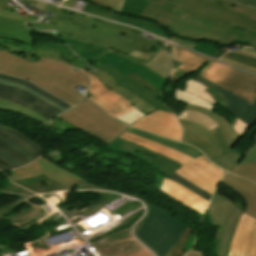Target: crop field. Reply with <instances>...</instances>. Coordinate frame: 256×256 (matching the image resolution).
<instances>
[{"instance_id": "obj_1", "label": "crop field", "mask_w": 256, "mask_h": 256, "mask_svg": "<svg viewBox=\"0 0 256 256\" xmlns=\"http://www.w3.org/2000/svg\"><path fill=\"white\" fill-rule=\"evenodd\" d=\"M170 1L179 5L160 24L179 37L229 45L252 44L256 36V21L229 7L207 0Z\"/></svg>"}, {"instance_id": "obj_2", "label": "crop field", "mask_w": 256, "mask_h": 256, "mask_svg": "<svg viewBox=\"0 0 256 256\" xmlns=\"http://www.w3.org/2000/svg\"><path fill=\"white\" fill-rule=\"evenodd\" d=\"M45 10L55 12L51 20L59 22L58 25L38 22L34 23L32 28L57 30L56 33L46 32L50 35L70 37L111 48L124 32L133 30L127 26L103 21L49 3Z\"/></svg>"}, {"instance_id": "obj_3", "label": "crop field", "mask_w": 256, "mask_h": 256, "mask_svg": "<svg viewBox=\"0 0 256 256\" xmlns=\"http://www.w3.org/2000/svg\"><path fill=\"white\" fill-rule=\"evenodd\" d=\"M137 197V196H134ZM146 217L135 227L137 238L145 243L157 256H175L187 241L192 229L173 219V213L152 206Z\"/></svg>"}, {"instance_id": "obj_4", "label": "crop field", "mask_w": 256, "mask_h": 256, "mask_svg": "<svg viewBox=\"0 0 256 256\" xmlns=\"http://www.w3.org/2000/svg\"><path fill=\"white\" fill-rule=\"evenodd\" d=\"M120 138L182 163L174 172L210 194H213L217 182L226 174L221 168L211 164L204 155L194 160L172 148L128 132L123 133Z\"/></svg>"}, {"instance_id": "obj_5", "label": "crop field", "mask_w": 256, "mask_h": 256, "mask_svg": "<svg viewBox=\"0 0 256 256\" xmlns=\"http://www.w3.org/2000/svg\"><path fill=\"white\" fill-rule=\"evenodd\" d=\"M34 64L0 51L1 73L28 79L73 105L83 101L84 97L73 89L79 84L50 71L38 68Z\"/></svg>"}, {"instance_id": "obj_6", "label": "crop field", "mask_w": 256, "mask_h": 256, "mask_svg": "<svg viewBox=\"0 0 256 256\" xmlns=\"http://www.w3.org/2000/svg\"><path fill=\"white\" fill-rule=\"evenodd\" d=\"M0 98L29 107L49 118L72 107L36 85L0 73Z\"/></svg>"}, {"instance_id": "obj_7", "label": "crop field", "mask_w": 256, "mask_h": 256, "mask_svg": "<svg viewBox=\"0 0 256 256\" xmlns=\"http://www.w3.org/2000/svg\"><path fill=\"white\" fill-rule=\"evenodd\" d=\"M59 117L106 144L128 128L87 100Z\"/></svg>"}, {"instance_id": "obj_8", "label": "crop field", "mask_w": 256, "mask_h": 256, "mask_svg": "<svg viewBox=\"0 0 256 256\" xmlns=\"http://www.w3.org/2000/svg\"><path fill=\"white\" fill-rule=\"evenodd\" d=\"M115 49L112 53L107 52L100 61L112 66L123 75H130L159 97H162V91L166 79L146 68L142 62H147L151 57L135 50L129 49L115 43L112 47Z\"/></svg>"}, {"instance_id": "obj_9", "label": "crop field", "mask_w": 256, "mask_h": 256, "mask_svg": "<svg viewBox=\"0 0 256 256\" xmlns=\"http://www.w3.org/2000/svg\"><path fill=\"white\" fill-rule=\"evenodd\" d=\"M42 179H45L65 190H70L76 183L86 189L103 190L82 181L78 177L41 158L27 166L13 170L11 177L13 182L21 186L32 184Z\"/></svg>"}, {"instance_id": "obj_10", "label": "crop field", "mask_w": 256, "mask_h": 256, "mask_svg": "<svg viewBox=\"0 0 256 256\" xmlns=\"http://www.w3.org/2000/svg\"><path fill=\"white\" fill-rule=\"evenodd\" d=\"M200 76L252 102L256 97V76L213 59L202 70Z\"/></svg>"}, {"instance_id": "obj_11", "label": "crop field", "mask_w": 256, "mask_h": 256, "mask_svg": "<svg viewBox=\"0 0 256 256\" xmlns=\"http://www.w3.org/2000/svg\"><path fill=\"white\" fill-rule=\"evenodd\" d=\"M208 210L212 225L220 228L216 242V255L228 256L231 239L242 211L236 209L229 198L217 194H214Z\"/></svg>"}, {"instance_id": "obj_12", "label": "crop field", "mask_w": 256, "mask_h": 256, "mask_svg": "<svg viewBox=\"0 0 256 256\" xmlns=\"http://www.w3.org/2000/svg\"><path fill=\"white\" fill-rule=\"evenodd\" d=\"M178 121L184 129L182 142L195 146L201 150L210 161L228 172L233 169V167L220 161V156L223 154V151L214 136L207 129L192 122L179 119Z\"/></svg>"}, {"instance_id": "obj_13", "label": "crop field", "mask_w": 256, "mask_h": 256, "mask_svg": "<svg viewBox=\"0 0 256 256\" xmlns=\"http://www.w3.org/2000/svg\"><path fill=\"white\" fill-rule=\"evenodd\" d=\"M107 148L110 150L130 154L150 164L151 166L155 167L157 170L166 174L167 176L173 173V171L178 169V167L181 165L177 162L169 160L163 156H160L154 152H150L142 147H139L135 144H131L120 138L115 140L112 144H108Z\"/></svg>"}, {"instance_id": "obj_14", "label": "crop field", "mask_w": 256, "mask_h": 256, "mask_svg": "<svg viewBox=\"0 0 256 256\" xmlns=\"http://www.w3.org/2000/svg\"><path fill=\"white\" fill-rule=\"evenodd\" d=\"M229 256H256V219L241 215L229 250Z\"/></svg>"}, {"instance_id": "obj_15", "label": "crop field", "mask_w": 256, "mask_h": 256, "mask_svg": "<svg viewBox=\"0 0 256 256\" xmlns=\"http://www.w3.org/2000/svg\"><path fill=\"white\" fill-rule=\"evenodd\" d=\"M131 126L152 133L180 140L182 129L179 127L174 115L157 110L133 123Z\"/></svg>"}, {"instance_id": "obj_16", "label": "crop field", "mask_w": 256, "mask_h": 256, "mask_svg": "<svg viewBox=\"0 0 256 256\" xmlns=\"http://www.w3.org/2000/svg\"><path fill=\"white\" fill-rule=\"evenodd\" d=\"M202 84H206L211 89L218 92L228 103L222 107L227 109L237 118L244 121L249 126H252L256 123V99L253 103L240 98L202 78L199 76L192 78Z\"/></svg>"}, {"instance_id": "obj_17", "label": "crop field", "mask_w": 256, "mask_h": 256, "mask_svg": "<svg viewBox=\"0 0 256 256\" xmlns=\"http://www.w3.org/2000/svg\"><path fill=\"white\" fill-rule=\"evenodd\" d=\"M78 71L86 74L91 80V84L88 91L93 96L88 99L96 103L98 106H100L110 116L132 106L129 102L120 97L118 94L109 90L94 76L80 69H78Z\"/></svg>"}, {"instance_id": "obj_18", "label": "crop field", "mask_w": 256, "mask_h": 256, "mask_svg": "<svg viewBox=\"0 0 256 256\" xmlns=\"http://www.w3.org/2000/svg\"><path fill=\"white\" fill-rule=\"evenodd\" d=\"M95 67H98V68L106 71L109 75L112 76V78H114L118 81L119 85H121L124 88H126L127 90L137 94L151 106L171 113V111L164 106L163 99L159 98L157 95H155L153 92H151L149 89H147L145 86H143L142 84H140L133 78L129 77L128 75L126 77L123 76L118 71L107 66L106 64H104L102 62L95 65Z\"/></svg>"}, {"instance_id": "obj_19", "label": "crop field", "mask_w": 256, "mask_h": 256, "mask_svg": "<svg viewBox=\"0 0 256 256\" xmlns=\"http://www.w3.org/2000/svg\"><path fill=\"white\" fill-rule=\"evenodd\" d=\"M158 189L175 201L196 211L199 215L203 214L209 203L183 186L164 177Z\"/></svg>"}, {"instance_id": "obj_20", "label": "crop field", "mask_w": 256, "mask_h": 256, "mask_svg": "<svg viewBox=\"0 0 256 256\" xmlns=\"http://www.w3.org/2000/svg\"><path fill=\"white\" fill-rule=\"evenodd\" d=\"M0 138L34 160L44 152L42 144L14 128L0 125Z\"/></svg>"}, {"instance_id": "obj_21", "label": "crop field", "mask_w": 256, "mask_h": 256, "mask_svg": "<svg viewBox=\"0 0 256 256\" xmlns=\"http://www.w3.org/2000/svg\"><path fill=\"white\" fill-rule=\"evenodd\" d=\"M209 89L205 85H201L191 79L185 82L184 90L176 89L175 96L179 102L198 105L211 111L215 109L218 103L209 96L205 90Z\"/></svg>"}, {"instance_id": "obj_22", "label": "crop field", "mask_w": 256, "mask_h": 256, "mask_svg": "<svg viewBox=\"0 0 256 256\" xmlns=\"http://www.w3.org/2000/svg\"><path fill=\"white\" fill-rule=\"evenodd\" d=\"M29 23L0 18V38H5L33 46L34 33L43 34L40 31L26 27Z\"/></svg>"}, {"instance_id": "obj_23", "label": "crop field", "mask_w": 256, "mask_h": 256, "mask_svg": "<svg viewBox=\"0 0 256 256\" xmlns=\"http://www.w3.org/2000/svg\"><path fill=\"white\" fill-rule=\"evenodd\" d=\"M220 182L243 196L247 202V209L244 213L256 218V184L230 173H228Z\"/></svg>"}, {"instance_id": "obj_24", "label": "crop field", "mask_w": 256, "mask_h": 256, "mask_svg": "<svg viewBox=\"0 0 256 256\" xmlns=\"http://www.w3.org/2000/svg\"><path fill=\"white\" fill-rule=\"evenodd\" d=\"M36 66H39L41 68H44L52 72H55L57 74H60L62 76H65L81 84V86L85 88H87L89 84V80L86 78V76L77 72L76 70L77 67L72 66L63 61L52 59V58L39 57L36 62Z\"/></svg>"}, {"instance_id": "obj_25", "label": "crop field", "mask_w": 256, "mask_h": 256, "mask_svg": "<svg viewBox=\"0 0 256 256\" xmlns=\"http://www.w3.org/2000/svg\"><path fill=\"white\" fill-rule=\"evenodd\" d=\"M97 69V68H96ZM97 73L89 72L96 76L104 85H106L109 89L115 91L123 98L128 100L134 107L140 110L145 115L156 110L155 108L151 107L150 105L146 104L140 97L132 94L131 92L127 91L123 87L119 86L116 80L112 79L106 72L97 69Z\"/></svg>"}, {"instance_id": "obj_26", "label": "crop field", "mask_w": 256, "mask_h": 256, "mask_svg": "<svg viewBox=\"0 0 256 256\" xmlns=\"http://www.w3.org/2000/svg\"><path fill=\"white\" fill-rule=\"evenodd\" d=\"M172 46L174 48L173 59L183 64L178 68L182 69L188 74L198 71L209 60L207 57L193 53L178 45L172 44Z\"/></svg>"}, {"instance_id": "obj_27", "label": "crop field", "mask_w": 256, "mask_h": 256, "mask_svg": "<svg viewBox=\"0 0 256 256\" xmlns=\"http://www.w3.org/2000/svg\"><path fill=\"white\" fill-rule=\"evenodd\" d=\"M99 6H103L129 16L138 17L144 7L149 3L147 0H88ZM112 5L113 7H111Z\"/></svg>"}, {"instance_id": "obj_28", "label": "crop field", "mask_w": 256, "mask_h": 256, "mask_svg": "<svg viewBox=\"0 0 256 256\" xmlns=\"http://www.w3.org/2000/svg\"><path fill=\"white\" fill-rule=\"evenodd\" d=\"M177 118L192 121L206 127L215 136L224 152H227L231 149L226 143L219 126L209 117L204 116L198 112L186 110L183 111L181 116H177Z\"/></svg>"}, {"instance_id": "obj_29", "label": "crop field", "mask_w": 256, "mask_h": 256, "mask_svg": "<svg viewBox=\"0 0 256 256\" xmlns=\"http://www.w3.org/2000/svg\"><path fill=\"white\" fill-rule=\"evenodd\" d=\"M32 161L34 160L0 139V169H8L13 166L20 167Z\"/></svg>"}, {"instance_id": "obj_30", "label": "crop field", "mask_w": 256, "mask_h": 256, "mask_svg": "<svg viewBox=\"0 0 256 256\" xmlns=\"http://www.w3.org/2000/svg\"><path fill=\"white\" fill-rule=\"evenodd\" d=\"M56 38L63 40L67 45L71 47V49L76 53V55L83 58L88 63L97 60L99 57H101L108 51V48L93 45L90 43L69 40L62 37Z\"/></svg>"}, {"instance_id": "obj_31", "label": "crop field", "mask_w": 256, "mask_h": 256, "mask_svg": "<svg viewBox=\"0 0 256 256\" xmlns=\"http://www.w3.org/2000/svg\"><path fill=\"white\" fill-rule=\"evenodd\" d=\"M117 43L130 47L142 53L154 56L162 46H159L133 32L124 33Z\"/></svg>"}, {"instance_id": "obj_32", "label": "crop field", "mask_w": 256, "mask_h": 256, "mask_svg": "<svg viewBox=\"0 0 256 256\" xmlns=\"http://www.w3.org/2000/svg\"><path fill=\"white\" fill-rule=\"evenodd\" d=\"M187 109L198 111L212 118L220 126L223 135L230 147H233L242 138L234 132L231 125L228 123V120L223 116L197 106L187 105Z\"/></svg>"}, {"instance_id": "obj_33", "label": "crop field", "mask_w": 256, "mask_h": 256, "mask_svg": "<svg viewBox=\"0 0 256 256\" xmlns=\"http://www.w3.org/2000/svg\"><path fill=\"white\" fill-rule=\"evenodd\" d=\"M133 134H137V135H140L144 138H147V139H150V140H153V141H156L158 143H161L163 145H166V146H169V147H172L182 153H185L193 158H197L201 155H203V153H201L200 151L196 150L195 148H193L192 146L188 145V144H184V143H176L174 141H171V140H168V139H164V138H161V137H158V136H155V135H152V134H149L147 132H144L142 130H139V129H136V128H133L131 127L129 130H127Z\"/></svg>"}, {"instance_id": "obj_34", "label": "crop field", "mask_w": 256, "mask_h": 256, "mask_svg": "<svg viewBox=\"0 0 256 256\" xmlns=\"http://www.w3.org/2000/svg\"><path fill=\"white\" fill-rule=\"evenodd\" d=\"M176 6L169 0H161L158 4L150 2L139 17L160 23Z\"/></svg>"}, {"instance_id": "obj_35", "label": "crop field", "mask_w": 256, "mask_h": 256, "mask_svg": "<svg viewBox=\"0 0 256 256\" xmlns=\"http://www.w3.org/2000/svg\"><path fill=\"white\" fill-rule=\"evenodd\" d=\"M242 150L243 149H232L228 153L221 156V161L233 167L237 165V163L245 165V164L256 162V142L255 141L253 146L250 147L249 151L245 155H243Z\"/></svg>"}, {"instance_id": "obj_36", "label": "crop field", "mask_w": 256, "mask_h": 256, "mask_svg": "<svg viewBox=\"0 0 256 256\" xmlns=\"http://www.w3.org/2000/svg\"><path fill=\"white\" fill-rule=\"evenodd\" d=\"M171 59V53L160 50L153 58H151L144 65L153 70L154 72L158 73L162 77L167 78L169 71L171 69Z\"/></svg>"}, {"instance_id": "obj_37", "label": "crop field", "mask_w": 256, "mask_h": 256, "mask_svg": "<svg viewBox=\"0 0 256 256\" xmlns=\"http://www.w3.org/2000/svg\"><path fill=\"white\" fill-rule=\"evenodd\" d=\"M110 20H114V21H118V22L133 25L135 27L141 28V29L146 30L148 32H151L153 34L164 37L166 39L170 38L168 33L165 32L163 29H161L160 27H158V26H156V25H154L150 22H147V21L124 17V16H122L120 14H117V13H114L112 15V17L110 18Z\"/></svg>"}, {"instance_id": "obj_38", "label": "crop field", "mask_w": 256, "mask_h": 256, "mask_svg": "<svg viewBox=\"0 0 256 256\" xmlns=\"http://www.w3.org/2000/svg\"><path fill=\"white\" fill-rule=\"evenodd\" d=\"M0 110H7V111H17L23 115H26L32 119H35L39 122H42L50 127V120L41 116L40 114L32 111L31 109H25L13 102L0 99ZM47 126V127H48Z\"/></svg>"}, {"instance_id": "obj_39", "label": "crop field", "mask_w": 256, "mask_h": 256, "mask_svg": "<svg viewBox=\"0 0 256 256\" xmlns=\"http://www.w3.org/2000/svg\"><path fill=\"white\" fill-rule=\"evenodd\" d=\"M36 56H44V57H52L56 59L63 60L65 62H68L72 65H75L80 68H86L88 65L81 59H77L74 57H70L64 53H59L57 51H34Z\"/></svg>"}, {"instance_id": "obj_40", "label": "crop field", "mask_w": 256, "mask_h": 256, "mask_svg": "<svg viewBox=\"0 0 256 256\" xmlns=\"http://www.w3.org/2000/svg\"><path fill=\"white\" fill-rule=\"evenodd\" d=\"M168 178L178 182L179 184L183 185L187 189H189L192 192L196 193L197 195L201 196L205 200L210 201V199H211V195L210 194H208L205 191H203V190L199 189L198 187L194 186L193 184H191L190 182L186 181L185 179H183L182 177H180L176 173H173Z\"/></svg>"}, {"instance_id": "obj_41", "label": "crop field", "mask_w": 256, "mask_h": 256, "mask_svg": "<svg viewBox=\"0 0 256 256\" xmlns=\"http://www.w3.org/2000/svg\"><path fill=\"white\" fill-rule=\"evenodd\" d=\"M0 50L12 53L16 56H19L21 58H24V59L30 60V61H34V62L37 59V57L34 56L33 51L29 52V51L23 50L21 48L10 46V45L3 44V43H0Z\"/></svg>"}, {"instance_id": "obj_42", "label": "crop field", "mask_w": 256, "mask_h": 256, "mask_svg": "<svg viewBox=\"0 0 256 256\" xmlns=\"http://www.w3.org/2000/svg\"><path fill=\"white\" fill-rule=\"evenodd\" d=\"M230 172L256 182V163L245 165V166L237 165Z\"/></svg>"}, {"instance_id": "obj_43", "label": "crop field", "mask_w": 256, "mask_h": 256, "mask_svg": "<svg viewBox=\"0 0 256 256\" xmlns=\"http://www.w3.org/2000/svg\"><path fill=\"white\" fill-rule=\"evenodd\" d=\"M83 12H87L107 19H109L113 14V12L111 11L99 8L89 3L86 4L85 8L83 9Z\"/></svg>"}, {"instance_id": "obj_44", "label": "crop field", "mask_w": 256, "mask_h": 256, "mask_svg": "<svg viewBox=\"0 0 256 256\" xmlns=\"http://www.w3.org/2000/svg\"><path fill=\"white\" fill-rule=\"evenodd\" d=\"M220 48L214 46L213 44L210 43H200L198 42L196 46L193 48V50L198 51L200 53H203L205 55H208L210 57L213 56V54L219 50Z\"/></svg>"}, {"instance_id": "obj_45", "label": "crop field", "mask_w": 256, "mask_h": 256, "mask_svg": "<svg viewBox=\"0 0 256 256\" xmlns=\"http://www.w3.org/2000/svg\"><path fill=\"white\" fill-rule=\"evenodd\" d=\"M35 49H54L61 52H64L69 55H74L71 50L68 49L65 45H58L54 43H42V44H36Z\"/></svg>"}, {"instance_id": "obj_46", "label": "crop field", "mask_w": 256, "mask_h": 256, "mask_svg": "<svg viewBox=\"0 0 256 256\" xmlns=\"http://www.w3.org/2000/svg\"><path fill=\"white\" fill-rule=\"evenodd\" d=\"M232 53L228 52L227 54L224 55V57L230 58L232 60H235L256 68V59H252V58H248V57H244V56H240Z\"/></svg>"}, {"instance_id": "obj_47", "label": "crop field", "mask_w": 256, "mask_h": 256, "mask_svg": "<svg viewBox=\"0 0 256 256\" xmlns=\"http://www.w3.org/2000/svg\"><path fill=\"white\" fill-rule=\"evenodd\" d=\"M10 1L11 0H0V7L5 5L6 3L10 2ZM0 17H6V18H11V19L31 22L30 19H28L26 17H23L21 15H17L13 12L4 11V10H0Z\"/></svg>"}, {"instance_id": "obj_48", "label": "crop field", "mask_w": 256, "mask_h": 256, "mask_svg": "<svg viewBox=\"0 0 256 256\" xmlns=\"http://www.w3.org/2000/svg\"><path fill=\"white\" fill-rule=\"evenodd\" d=\"M229 122L232 124L236 133L241 135L242 137L246 134L247 130L250 128L245 123L238 120L237 118L231 119L229 120Z\"/></svg>"}, {"instance_id": "obj_49", "label": "crop field", "mask_w": 256, "mask_h": 256, "mask_svg": "<svg viewBox=\"0 0 256 256\" xmlns=\"http://www.w3.org/2000/svg\"><path fill=\"white\" fill-rule=\"evenodd\" d=\"M245 6H242V5H239V4L235 3L231 7V9L235 10V11H238L240 13L246 14V15H248V16H250V17H252L256 20V9H252V8L245 7Z\"/></svg>"}, {"instance_id": "obj_50", "label": "crop field", "mask_w": 256, "mask_h": 256, "mask_svg": "<svg viewBox=\"0 0 256 256\" xmlns=\"http://www.w3.org/2000/svg\"><path fill=\"white\" fill-rule=\"evenodd\" d=\"M233 53L256 58V50L251 47L242 46L240 50L232 51Z\"/></svg>"}, {"instance_id": "obj_51", "label": "crop field", "mask_w": 256, "mask_h": 256, "mask_svg": "<svg viewBox=\"0 0 256 256\" xmlns=\"http://www.w3.org/2000/svg\"><path fill=\"white\" fill-rule=\"evenodd\" d=\"M220 60L225 61V62H227V63H230V64H232V65H235V66H237V67H240V68H242V69H245V70H247V71H250V72L256 74V69H255V68H252V67L243 65V64H241V63H238V62L229 60V59L224 58V57H222Z\"/></svg>"}, {"instance_id": "obj_52", "label": "crop field", "mask_w": 256, "mask_h": 256, "mask_svg": "<svg viewBox=\"0 0 256 256\" xmlns=\"http://www.w3.org/2000/svg\"><path fill=\"white\" fill-rule=\"evenodd\" d=\"M170 40L175 42V43H178L180 45H183V46H185L187 48H190V49H192L194 47V45L197 43V42L180 40V39H177V38H171Z\"/></svg>"}, {"instance_id": "obj_53", "label": "crop field", "mask_w": 256, "mask_h": 256, "mask_svg": "<svg viewBox=\"0 0 256 256\" xmlns=\"http://www.w3.org/2000/svg\"><path fill=\"white\" fill-rule=\"evenodd\" d=\"M0 42H4V43L10 44V45L18 46V47H21L23 49L30 50V51H32L33 48H34V47H31V46H28V45L20 44V43L5 40V39H0Z\"/></svg>"}, {"instance_id": "obj_54", "label": "crop field", "mask_w": 256, "mask_h": 256, "mask_svg": "<svg viewBox=\"0 0 256 256\" xmlns=\"http://www.w3.org/2000/svg\"><path fill=\"white\" fill-rule=\"evenodd\" d=\"M31 5L34 8H40V9L44 10L46 3L45 2H41V1H37V0H33L31 2Z\"/></svg>"}, {"instance_id": "obj_55", "label": "crop field", "mask_w": 256, "mask_h": 256, "mask_svg": "<svg viewBox=\"0 0 256 256\" xmlns=\"http://www.w3.org/2000/svg\"><path fill=\"white\" fill-rule=\"evenodd\" d=\"M252 7H256V0H234Z\"/></svg>"}, {"instance_id": "obj_56", "label": "crop field", "mask_w": 256, "mask_h": 256, "mask_svg": "<svg viewBox=\"0 0 256 256\" xmlns=\"http://www.w3.org/2000/svg\"><path fill=\"white\" fill-rule=\"evenodd\" d=\"M218 3H221V4H224V5H227L229 7H231L235 2L233 1H230V0H214Z\"/></svg>"}, {"instance_id": "obj_57", "label": "crop field", "mask_w": 256, "mask_h": 256, "mask_svg": "<svg viewBox=\"0 0 256 256\" xmlns=\"http://www.w3.org/2000/svg\"><path fill=\"white\" fill-rule=\"evenodd\" d=\"M78 0H67L66 2H64L62 5L65 7H69L71 8Z\"/></svg>"}, {"instance_id": "obj_58", "label": "crop field", "mask_w": 256, "mask_h": 256, "mask_svg": "<svg viewBox=\"0 0 256 256\" xmlns=\"http://www.w3.org/2000/svg\"><path fill=\"white\" fill-rule=\"evenodd\" d=\"M186 256H202V253L199 251L191 250Z\"/></svg>"}, {"instance_id": "obj_59", "label": "crop field", "mask_w": 256, "mask_h": 256, "mask_svg": "<svg viewBox=\"0 0 256 256\" xmlns=\"http://www.w3.org/2000/svg\"><path fill=\"white\" fill-rule=\"evenodd\" d=\"M227 50L225 49H221L220 51L216 52L215 55L213 56V58L218 59L219 57H221L224 53H226Z\"/></svg>"}, {"instance_id": "obj_60", "label": "crop field", "mask_w": 256, "mask_h": 256, "mask_svg": "<svg viewBox=\"0 0 256 256\" xmlns=\"http://www.w3.org/2000/svg\"><path fill=\"white\" fill-rule=\"evenodd\" d=\"M40 18H36V17H33V16H31V21L32 22H34V21H36V20H39Z\"/></svg>"}, {"instance_id": "obj_61", "label": "crop field", "mask_w": 256, "mask_h": 256, "mask_svg": "<svg viewBox=\"0 0 256 256\" xmlns=\"http://www.w3.org/2000/svg\"><path fill=\"white\" fill-rule=\"evenodd\" d=\"M179 65H180L179 63H177V62L174 61L173 69L176 68V67H178Z\"/></svg>"}, {"instance_id": "obj_62", "label": "crop field", "mask_w": 256, "mask_h": 256, "mask_svg": "<svg viewBox=\"0 0 256 256\" xmlns=\"http://www.w3.org/2000/svg\"><path fill=\"white\" fill-rule=\"evenodd\" d=\"M184 255H185V253L180 251L176 256H184Z\"/></svg>"}, {"instance_id": "obj_63", "label": "crop field", "mask_w": 256, "mask_h": 256, "mask_svg": "<svg viewBox=\"0 0 256 256\" xmlns=\"http://www.w3.org/2000/svg\"><path fill=\"white\" fill-rule=\"evenodd\" d=\"M252 45L256 47V38H255V40H254Z\"/></svg>"}, {"instance_id": "obj_64", "label": "crop field", "mask_w": 256, "mask_h": 256, "mask_svg": "<svg viewBox=\"0 0 256 256\" xmlns=\"http://www.w3.org/2000/svg\"><path fill=\"white\" fill-rule=\"evenodd\" d=\"M149 1H153V2L158 3L160 0H149Z\"/></svg>"}, {"instance_id": "obj_65", "label": "crop field", "mask_w": 256, "mask_h": 256, "mask_svg": "<svg viewBox=\"0 0 256 256\" xmlns=\"http://www.w3.org/2000/svg\"><path fill=\"white\" fill-rule=\"evenodd\" d=\"M25 1H29V2H31L32 0H25Z\"/></svg>"}, {"instance_id": "obj_66", "label": "crop field", "mask_w": 256, "mask_h": 256, "mask_svg": "<svg viewBox=\"0 0 256 256\" xmlns=\"http://www.w3.org/2000/svg\"><path fill=\"white\" fill-rule=\"evenodd\" d=\"M255 141H256V138H255Z\"/></svg>"}]
</instances>
